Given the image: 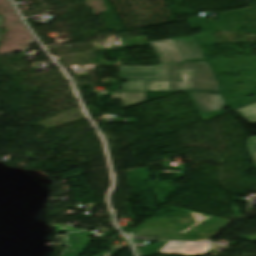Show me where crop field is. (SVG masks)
<instances>
[{
    "label": "crop field",
    "mask_w": 256,
    "mask_h": 256,
    "mask_svg": "<svg viewBox=\"0 0 256 256\" xmlns=\"http://www.w3.org/2000/svg\"><path fill=\"white\" fill-rule=\"evenodd\" d=\"M180 76L185 81V91L218 92V83L207 62H183Z\"/></svg>",
    "instance_id": "crop-field-2"
},
{
    "label": "crop field",
    "mask_w": 256,
    "mask_h": 256,
    "mask_svg": "<svg viewBox=\"0 0 256 256\" xmlns=\"http://www.w3.org/2000/svg\"><path fill=\"white\" fill-rule=\"evenodd\" d=\"M212 247L211 243H191L167 241L160 253L174 254L182 253L187 255H200L208 252Z\"/></svg>",
    "instance_id": "crop-field-5"
},
{
    "label": "crop field",
    "mask_w": 256,
    "mask_h": 256,
    "mask_svg": "<svg viewBox=\"0 0 256 256\" xmlns=\"http://www.w3.org/2000/svg\"><path fill=\"white\" fill-rule=\"evenodd\" d=\"M172 41L183 61L204 60L203 53L193 37L173 38Z\"/></svg>",
    "instance_id": "crop-field-7"
},
{
    "label": "crop field",
    "mask_w": 256,
    "mask_h": 256,
    "mask_svg": "<svg viewBox=\"0 0 256 256\" xmlns=\"http://www.w3.org/2000/svg\"><path fill=\"white\" fill-rule=\"evenodd\" d=\"M150 45L161 63L182 62L171 39L151 42Z\"/></svg>",
    "instance_id": "crop-field-8"
},
{
    "label": "crop field",
    "mask_w": 256,
    "mask_h": 256,
    "mask_svg": "<svg viewBox=\"0 0 256 256\" xmlns=\"http://www.w3.org/2000/svg\"><path fill=\"white\" fill-rule=\"evenodd\" d=\"M202 121L222 114L226 107L219 94L186 93Z\"/></svg>",
    "instance_id": "crop-field-4"
},
{
    "label": "crop field",
    "mask_w": 256,
    "mask_h": 256,
    "mask_svg": "<svg viewBox=\"0 0 256 256\" xmlns=\"http://www.w3.org/2000/svg\"><path fill=\"white\" fill-rule=\"evenodd\" d=\"M251 123H256V103L233 110Z\"/></svg>",
    "instance_id": "crop-field-10"
},
{
    "label": "crop field",
    "mask_w": 256,
    "mask_h": 256,
    "mask_svg": "<svg viewBox=\"0 0 256 256\" xmlns=\"http://www.w3.org/2000/svg\"><path fill=\"white\" fill-rule=\"evenodd\" d=\"M183 214H167L168 218L149 219L131 236L156 235L158 239L208 240L231 221L179 209ZM201 222L203 224H201Z\"/></svg>",
    "instance_id": "crop-field-1"
},
{
    "label": "crop field",
    "mask_w": 256,
    "mask_h": 256,
    "mask_svg": "<svg viewBox=\"0 0 256 256\" xmlns=\"http://www.w3.org/2000/svg\"><path fill=\"white\" fill-rule=\"evenodd\" d=\"M0 19H1V16H0Z\"/></svg>",
    "instance_id": "crop-field-12"
},
{
    "label": "crop field",
    "mask_w": 256,
    "mask_h": 256,
    "mask_svg": "<svg viewBox=\"0 0 256 256\" xmlns=\"http://www.w3.org/2000/svg\"><path fill=\"white\" fill-rule=\"evenodd\" d=\"M248 151L256 165V136H250L247 140Z\"/></svg>",
    "instance_id": "crop-field-11"
},
{
    "label": "crop field",
    "mask_w": 256,
    "mask_h": 256,
    "mask_svg": "<svg viewBox=\"0 0 256 256\" xmlns=\"http://www.w3.org/2000/svg\"><path fill=\"white\" fill-rule=\"evenodd\" d=\"M180 64L159 66L119 67L121 80H173L179 79Z\"/></svg>",
    "instance_id": "crop-field-3"
},
{
    "label": "crop field",
    "mask_w": 256,
    "mask_h": 256,
    "mask_svg": "<svg viewBox=\"0 0 256 256\" xmlns=\"http://www.w3.org/2000/svg\"><path fill=\"white\" fill-rule=\"evenodd\" d=\"M122 90H177L184 91V82L173 81H128L122 83Z\"/></svg>",
    "instance_id": "crop-field-6"
},
{
    "label": "crop field",
    "mask_w": 256,
    "mask_h": 256,
    "mask_svg": "<svg viewBox=\"0 0 256 256\" xmlns=\"http://www.w3.org/2000/svg\"><path fill=\"white\" fill-rule=\"evenodd\" d=\"M111 99H121L124 108L146 101L143 92L113 93L111 94Z\"/></svg>",
    "instance_id": "crop-field-9"
}]
</instances>
